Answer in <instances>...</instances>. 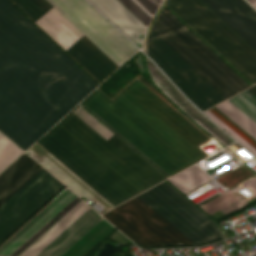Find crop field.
I'll use <instances>...</instances> for the list:
<instances>
[{
	"label": "crop field",
	"mask_w": 256,
	"mask_h": 256,
	"mask_svg": "<svg viewBox=\"0 0 256 256\" xmlns=\"http://www.w3.org/2000/svg\"><path fill=\"white\" fill-rule=\"evenodd\" d=\"M210 111H212L216 116H218L221 120H223L227 125H229L232 129H234L238 134H240L243 138H245L254 147H256V143L252 139H250L247 135H245L242 131H240L236 126H234L230 121H228L218 111H216L214 108L210 109Z\"/></svg>",
	"instance_id": "00972430"
},
{
	"label": "crop field",
	"mask_w": 256,
	"mask_h": 256,
	"mask_svg": "<svg viewBox=\"0 0 256 256\" xmlns=\"http://www.w3.org/2000/svg\"><path fill=\"white\" fill-rule=\"evenodd\" d=\"M167 180L185 195L212 181L196 166H193Z\"/></svg>",
	"instance_id": "4a817a6b"
},
{
	"label": "crop field",
	"mask_w": 256,
	"mask_h": 256,
	"mask_svg": "<svg viewBox=\"0 0 256 256\" xmlns=\"http://www.w3.org/2000/svg\"><path fill=\"white\" fill-rule=\"evenodd\" d=\"M70 192V190L65 188L5 243H3L0 246V256H19L76 204H78L81 200L76 197L74 193L70 194Z\"/></svg>",
	"instance_id": "28ad6ade"
},
{
	"label": "crop field",
	"mask_w": 256,
	"mask_h": 256,
	"mask_svg": "<svg viewBox=\"0 0 256 256\" xmlns=\"http://www.w3.org/2000/svg\"><path fill=\"white\" fill-rule=\"evenodd\" d=\"M256 140V124L228 100L215 106Z\"/></svg>",
	"instance_id": "bc2a9ffb"
},
{
	"label": "crop field",
	"mask_w": 256,
	"mask_h": 256,
	"mask_svg": "<svg viewBox=\"0 0 256 256\" xmlns=\"http://www.w3.org/2000/svg\"><path fill=\"white\" fill-rule=\"evenodd\" d=\"M8 139L0 133V146ZM22 153L9 140L0 147V172Z\"/></svg>",
	"instance_id": "dafd665d"
},
{
	"label": "crop field",
	"mask_w": 256,
	"mask_h": 256,
	"mask_svg": "<svg viewBox=\"0 0 256 256\" xmlns=\"http://www.w3.org/2000/svg\"><path fill=\"white\" fill-rule=\"evenodd\" d=\"M72 112L104 139L113 134L80 106ZM72 112L38 143L111 204L167 179L117 136L104 140Z\"/></svg>",
	"instance_id": "ac0d7876"
},
{
	"label": "crop field",
	"mask_w": 256,
	"mask_h": 256,
	"mask_svg": "<svg viewBox=\"0 0 256 256\" xmlns=\"http://www.w3.org/2000/svg\"><path fill=\"white\" fill-rule=\"evenodd\" d=\"M170 176L208 157L211 140L137 78L111 101L99 90L83 103Z\"/></svg>",
	"instance_id": "34b2d1b8"
},
{
	"label": "crop field",
	"mask_w": 256,
	"mask_h": 256,
	"mask_svg": "<svg viewBox=\"0 0 256 256\" xmlns=\"http://www.w3.org/2000/svg\"><path fill=\"white\" fill-rule=\"evenodd\" d=\"M64 186L43 169L0 207V243Z\"/></svg>",
	"instance_id": "3316defc"
},
{
	"label": "crop field",
	"mask_w": 256,
	"mask_h": 256,
	"mask_svg": "<svg viewBox=\"0 0 256 256\" xmlns=\"http://www.w3.org/2000/svg\"><path fill=\"white\" fill-rule=\"evenodd\" d=\"M254 7H256V0H248Z\"/></svg>",
	"instance_id": "4177f3b9"
},
{
	"label": "crop field",
	"mask_w": 256,
	"mask_h": 256,
	"mask_svg": "<svg viewBox=\"0 0 256 256\" xmlns=\"http://www.w3.org/2000/svg\"><path fill=\"white\" fill-rule=\"evenodd\" d=\"M167 5L253 84L256 50L203 0H169Z\"/></svg>",
	"instance_id": "dd49c442"
},
{
	"label": "crop field",
	"mask_w": 256,
	"mask_h": 256,
	"mask_svg": "<svg viewBox=\"0 0 256 256\" xmlns=\"http://www.w3.org/2000/svg\"><path fill=\"white\" fill-rule=\"evenodd\" d=\"M151 30L226 98L250 86L165 7Z\"/></svg>",
	"instance_id": "f4fd0767"
},
{
	"label": "crop field",
	"mask_w": 256,
	"mask_h": 256,
	"mask_svg": "<svg viewBox=\"0 0 256 256\" xmlns=\"http://www.w3.org/2000/svg\"><path fill=\"white\" fill-rule=\"evenodd\" d=\"M129 9H131L147 25L153 17L161 0H121ZM130 10V11H131ZM131 11V12H132ZM142 21V22H143ZM143 22V23H144Z\"/></svg>",
	"instance_id": "214f88e0"
},
{
	"label": "crop field",
	"mask_w": 256,
	"mask_h": 256,
	"mask_svg": "<svg viewBox=\"0 0 256 256\" xmlns=\"http://www.w3.org/2000/svg\"><path fill=\"white\" fill-rule=\"evenodd\" d=\"M163 1V0H162Z\"/></svg>",
	"instance_id": "730fd06b"
},
{
	"label": "crop field",
	"mask_w": 256,
	"mask_h": 256,
	"mask_svg": "<svg viewBox=\"0 0 256 256\" xmlns=\"http://www.w3.org/2000/svg\"><path fill=\"white\" fill-rule=\"evenodd\" d=\"M228 100L256 122V97L250 92L245 90Z\"/></svg>",
	"instance_id": "92a150f3"
},
{
	"label": "crop field",
	"mask_w": 256,
	"mask_h": 256,
	"mask_svg": "<svg viewBox=\"0 0 256 256\" xmlns=\"http://www.w3.org/2000/svg\"><path fill=\"white\" fill-rule=\"evenodd\" d=\"M256 49V11L245 0H204Z\"/></svg>",
	"instance_id": "d1516ede"
},
{
	"label": "crop field",
	"mask_w": 256,
	"mask_h": 256,
	"mask_svg": "<svg viewBox=\"0 0 256 256\" xmlns=\"http://www.w3.org/2000/svg\"><path fill=\"white\" fill-rule=\"evenodd\" d=\"M98 84L0 0V130L26 150Z\"/></svg>",
	"instance_id": "8a807250"
},
{
	"label": "crop field",
	"mask_w": 256,
	"mask_h": 256,
	"mask_svg": "<svg viewBox=\"0 0 256 256\" xmlns=\"http://www.w3.org/2000/svg\"><path fill=\"white\" fill-rule=\"evenodd\" d=\"M103 216L141 247L193 244L137 197Z\"/></svg>",
	"instance_id": "d8731c3e"
},
{
	"label": "crop field",
	"mask_w": 256,
	"mask_h": 256,
	"mask_svg": "<svg viewBox=\"0 0 256 256\" xmlns=\"http://www.w3.org/2000/svg\"><path fill=\"white\" fill-rule=\"evenodd\" d=\"M148 73L155 85L169 97L178 107H180L187 115H189L200 126L211 133L225 146L234 142L230 137L220 131L208 119L198 113L185 98L171 85V83L159 72V70L146 58ZM216 139V140H217ZM222 144V145H223ZM223 145V146H224Z\"/></svg>",
	"instance_id": "22f410ed"
},
{
	"label": "crop field",
	"mask_w": 256,
	"mask_h": 256,
	"mask_svg": "<svg viewBox=\"0 0 256 256\" xmlns=\"http://www.w3.org/2000/svg\"><path fill=\"white\" fill-rule=\"evenodd\" d=\"M41 168L24 155L0 175V205Z\"/></svg>",
	"instance_id": "d9b57169"
},
{
	"label": "crop field",
	"mask_w": 256,
	"mask_h": 256,
	"mask_svg": "<svg viewBox=\"0 0 256 256\" xmlns=\"http://www.w3.org/2000/svg\"><path fill=\"white\" fill-rule=\"evenodd\" d=\"M37 24L56 7L119 65L138 49L85 0H12ZM38 25L64 49L83 32L58 9ZM65 50L100 82L119 65L85 34Z\"/></svg>",
	"instance_id": "412701ff"
},
{
	"label": "crop field",
	"mask_w": 256,
	"mask_h": 256,
	"mask_svg": "<svg viewBox=\"0 0 256 256\" xmlns=\"http://www.w3.org/2000/svg\"><path fill=\"white\" fill-rule=\"evenodd\" d=\"M147 47L148 55L200 109L205 111L226 99L152 31Z\"/></svg>",
	"instance_id": "5a996713"
},
{
	"label": "crop field",
	"mask_w": 256,
	"mask_h": 256,
	"mask_svg": "<svg viewBox=\"0 0 256 256\" xmlns=\"http://www.w3.org/2000/svg\"><path fill=\"white\" fill-rule=\"evenodd\" d=\"M89 207L82 201L20 256H35Z\"/></svg>",
	"instance_id": "733c2abd"
},
{
	"label": "crop field",
	"mask_w": 256,
	"mask_h": 256,
	"mask_svg": "<svg viewBox=\"0 0 256 256\" xmlns=\"http://www.w3.org/2000/svg\"><path fill=\"white\" fill-rule=\"evenodd\" d=\"M137 197L194 244L223 238L217 224L165 181Z\"/></svg>",
	"instance_id": "e52e79f7"
},
{
	"label": "crop field",
	"mask_w": 256,
	"mask_h": 256,
	"mask_svg": "<svg viewBox=\"0 0 256 256\" xmlns=\"http://www.w3.org/2000/svg\"><path fill=\"white\" fill-rule=\"evenodd\" d=\"M249 91H251L256 96V85L248 88Z\"/></svg>",
	"instance_id": "a9b5d70f"
},
{
	"label": "crop field",
	"mask_w": 256,
	"mask_h": 256,
	"mask_svg": "<svg viewBox=\"0 0 256 256\" xmlns=\"http://www.w3.org/2000/svg\"><path fill=\"white\" fill-rule=\"evenodd\" d=\"M101 219L89 208L36 256H61Z\"/></svg>",
	"instance_id": "5142ce71"
},
{
	"label": "crop field",
	"mask_w": 256,
	"mask_h": 256,
	"mask_svg": "<svg viewBox=\"0 0 256 256\" xmlns=\"http://www.w3.org/2000/svg\"><path fill=\"white\" fill-rule=\"evenodd\" d=\"M108 19L141 47L146 24L120 0H89Z\"/></svg>",
	"instance_id": "cbeb9de0"
}]
</instances>
